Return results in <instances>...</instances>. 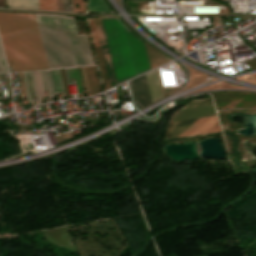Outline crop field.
Masks as SVG:
<instances>
[{"label": "crop field", "instance_id": "obj_21", "mask_svg": "<svg viewBox=\"0 0 256 256\" xmlns=\"http://www.w3.org/2000/svg\"><path fill=\"white\" fill-rule=\"evenodd\" d=\"M57 7H58V11H62L63 12L62 0H57Z\"/></svg>", "mask_w": 256, "mask_h": 256}, {"label": "crop field", "instance_id": "obj_6", "mask_svg": "<svg viewBox=\"0 0 256 256\" xmlns=\"http://www.w3.org/2000/svg\"><path fill=\"white\" fill-rule=\"evenodd\" d=\"M89 23H90V29H91L92 42H93V46H94V50H95V54H96V58H97V62H98V67H99L103 87L106 90V89L110 88V85H109V81H108V77H107V73H106V69H105V65H104V61H103V57H102V53H101L95 25H94V21L89 20Z\"/></svg>", "mask_w": 256, "mask_h": 256}, {"label": "crop field", "instance_id": "obj_22", "mask_svg": "<svg viewBox=\"0 0 256 256\" xmlns=\"http://www.w3.org/2000/svg\"><path fill=\"white\" fill-rule=\"evenodd\" d=\"M28 76H29V83H30V90H31V95L33 97V90H32V85H31V79H30V74L28 72Z\"/></svg>", "mask_w": 256, "mask_h": 256}, {"label": "crop field", "instance_id": "obj_20", "mask_svg": "<svg viewBox=\"0 0 256 256\" xmlns=\"http://www.w3.org/2000/svg\"><path fill=\"white\" fill-rule=\"evenodd\" d=\"M5 81H6L7 95L8 97H11L8 78H5Z\"/></svg>", "mask_w": 256, "mask_h": 256}, {"label": "crop field", "instance_id": "obj_10", "mask_svg": "<svg viewBox=\"0 0 256 256\" xmlns=\"http://www.w3.org/2000/svg\"><path fill=\"white\" fill-rule=\"evenodd\" d=\"M77 36H78L80 47H81V50H82V53H83L85 64L89 65V62H93V61H92V57H91V54H90V50H89V46H88V43H87L86 36H82V35H77Z\"/></svg>", "mask_w": 256, "mask_h": 256}, {"label": "crop field", "instance_id": "obj_9", "mask_svg": "<svg viewBox=\"0 0 256 256\" xmlns=\"http://www.w3.org/2000/svg\"><path fill=\"white\" fill-rule=\"evenodd\" d=\"M88 11L97 13H112L102 0H87Z\"/></svg>", "mask_w": 256, "mask_h": 256}, {"label": "crop field", "instance_id": "obj_23", "mask_svg": "<svg viewBox=\"0 0 256 256\" xmlns=\"http://www.w3.org/2000/svg\"><path fill=\"white\" fill-rule=\"evenodd\" d=\"M27 75V74H26ZM27 81H28V79H27ZM25 84V83H24ZM29 86V85H28ZM26 91V90H25ZM30 91V90H29ZM27 97V96H26ZM31 97V96H30Z\"/></svg>", "mask_w": 256, "mask_h": 256}, {"label": "crop field", "instance_id": "obj_5", "mask_svg": "<svg viewBox=\"0 0 256 256\" xmlns=\"http://www.w3.org/2000/svg\"><path fill=\"white\" fill-rule=\"evenodd\" d=\"M129 86L138 106L152 103L145 74L129 81Z\"/></svg>", "mask_w": 256, "mask_h": 256}, {"label": "crop field", "instance_id": "obj_1", "mask_svg": "<svg viewBox=\"0 0 256 256\" xmlns=\"http://www.w3.org/2000/svg\"><path fill=\"white\" fill-rule=\"evenodd\" d=\"M0 38L13 71L49 69L33 14L0 12Z\"/></svg>", "mask_w": 256, "mask_h": 256}, {"label": "crop field", "instance_id": "obj_19", "mask_svg": "<svg viewBox=\"0 0 256 256\" xmlns=\"http://www.w3.org/2000/svg\"><path fill=\"white\" fill-rule=\"evenodd\" d=\"M64 12H73L72 0H63Z\"/></svg>", "mask_w": 256, "mask_h": 256}, {"label": "crop field", "instance_id": "obj_16", "mask_svg": "<svg viewBox=\"0 0 256 256\" xmlns=\"http://www.w3.org/2000/svg\"><path fill=\"white\" fill-rule=\"evenodd\" d=\"M44 73H45V78H46V82H47L49 100L52 101L53 100L52 98H54L55 95L53 93L52 86H51L49 70L44 71Z\"/></svg>", "mask_w": 256, "mask_h": 256}, {"label": "crop field", "instance_id": "obj_11", "mask_svg": "<svg viewBox=\"0 0 256 256\" xmlns=\"http://www.w3.org/2000/svg\"><path fill=\"white\" fill-rule=\"evenodd\" d=\"M33 75H34V82H35L38 101L39 103H42L41 97L44 96V93H43L40 71L33 72Z\"/></svg>", "mask_w": 256, "mask_h": 256}, {"label": "crop field", "instance_id": "obj_4", "mask_svg": "<svg viewBox=\"0 0 256 256\" xmlns=\"http://www.w3.org/2000/svg\"><path fill=\"white\" fill-rule=\"evenodd\" d=\"M221 132L216 116L172 121L166 127L165 140Z\"/></svg>", "mask_w": 256, "mask_h": 256}, {"label": "crop field", "instance_id": "obj_3", "mask_svg": "<svg viewBox=\"0 0 256 256\" xmlns=\"http://www.w3.org/2000/svg\"><path fill=\"white\" fill-rule=\"evenodd\" d=\"M117 82L149 70L143 40L118 18H102Z\"/></svg>", "mask_w": 256, "mask_h": 256}, {"label": "crop field", "instance_id": "obj_2", "mask_svg": "<svg viewBox=\"0 0 256 256\" xmlns=\"http://www.w3.org/2000/svg\"><path fill=\"white\" fill-rule=\"evenodd\" d=\"M50 69L83 64L74 17L34 14Z\"/></svg>", "mask_w": 256, "mask_h": 256}, {"label": "crop field", "instance_id": "obj_8", "mask_svg": "<svg viewBox=\"0 0 256 256\" xmlns=\"http://www.w3.org/2000/svg\"><path fill=\"white\" fill-rule=\"evenodd\" d=\"M144 43H145L151 69L166 61L171 60L165 55H163L162 53H160L159 51H157L156 49H154L153 47H151L150 45H148L146 42Z\"/></svg>", "mask_w": 256, "mask_h": 256}, {"label": "crop field", "instance_id": "obj_14", "mask_svg": "<svg viewBox=\"0 0 256 256\" xmlns=\"http://www.w3.org/2000/svg\"><path fill=\"white\" fill-rule=\"evenodd\" d=\"M40 9L57 11L56 0H39Z\"/></svg>", "mask_w": 256, "mask_h": 256}, {"label": "crop field", "instance_id": "obj_13", "mask_svg": "<svg viewBox=\"0 0 256 256\" xmlns=\"http://www.w3.org/2000/svg\"><path fill=\"white\" fill-rule=\"evenodd\" d=\"M50 73H51V80H52V85H53V88H54V92L58 91V89H59V91H64L61 76H60V72L55 71L56 78H57L58 89H57V84H56L55 73H54V71H50Z\"/></svg>", "mask_w": 256, "mask_h": 256}, {"label": "crop field", "instance_id": "obj_7", "mask_svg": "<svg viewBox=\"0 0 256 256\" xmlns=\"http://www.w3.org/2000/svg\"><path fill=\"white\" fill-rule=\"evenodd\" d=\"M90 94L100 92L101 88L99 85L98 75L96 67H84Z\"/></svg>", "mask_w": 256, "mask_h": 256}, {"label": "crop field", "instance_id": "obj_18", "mask_svg": "<svg viewBox=\"0 0 256 256\" xmlns=\"http://www.w3.org/2000/svg\"><path fill=\"white\" fill-rule=\"evenodd\" d=\"M78 3V9L75 8V4ZM74 12H85L84 0H73Z\"/></svg>", "mask_w": 256, "mask_h": 256}, {"label": "crop field", "instance_id": "obj_17", "mask_svg": "<svg viewBox=\"0 0 256 256\" xmlns=\"http://www.w3.org/2000/svg\"><path fill=\"white\" fill-rule=\"evenodd\" d=\"M5 72H8V70H7V66H6L3 52L0 45V73H5Z\"/></svg>", "mask_w": 256, "mask_h": 256}, {"label": "crop field", "instance_id": "obj_15", "mask_svg": "<svg viewBox=\"0 0 256 256\" xmlns=\"http://www.w3.org/2000/svg\"><path fill=\"white\" fill-rule=\"evenodd\" d=\"M213 104L211 98H206V99H196V100H191L188 104H186L184 107H193V106H201V105H209Z\"/></svg>", "mask_w": 256, "mask_h": 256}, {"label": "crop field", "instance_id": "obj_12", "mask_svg": "<svg viewBox=\"0 0 256 256\" xmlns=\"http://www.w3.org/2000/svg\"><path fill=\"white\" fill-rule=\"evenodd\" d=\"M64 70H65V74H66L68 84H70L71 79H75L77 91L82 92L79 77H78V73H77V69L76 68H69L68 69L69 76H70V82H69V77H68V71H67V69H64ZM71 84H72V82H71Z\"/></svg>", "mask_w": 256, "mask_h": 256}]
</instances>
